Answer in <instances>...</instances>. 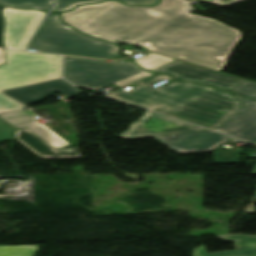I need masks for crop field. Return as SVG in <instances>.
Returning a JSON list of instances; mask_svg holds the SVG:
<instances>
[{
	"mask_svg": "<svg viewBox=\"0 0 256 256\" xmlns=\"http://www.w3.org/2000/svg\"><path fill=\"white\" fill-rule=\"evenodd\" d=\"M184 0H161L153 8L111 1L61 13L63 22L111 43H137L152 51L221 71L241 33L196 16Z\"/></svg>",
	"mask_w": 256,
	"mask_h": 256,
	"instance_id": "1",
	"label": "crop field"
},
{
	"mask_svg": "<svg viewBox=\"0 0 256 256\" xmlns=\"http://www.w3.org/2000/svg\"><path fill=\"white\" fill-rule=\"evenodd\" d=\"M109 96L212 129L219 127L242 105L231 93L186 82L158 89L139 85L127 92L117 91Z\"/></svg>",
	"mask_w": 256,
	"mask_h": 256,
	"instance_id": "2",
	"label": "crop field"
},
{
	"mask_svg": "<svg viewBox=\"0 0 256 256\" xmlns=\"http://www.w3.org/2000/svg\"><path fill=\"white\" fill-rule=\"evenodd\" d=\"M27 48L40 52L111 59L119 48L85 36L61 23L58 14H48Z\"/></svg>",
	"mask_w": 256,
	"mask_h": 256,
	"instance_id": "3",
	"label": "crop field"
},
{
	"mask_svg": "<svg viewBox=\"0 0 256 256\" xmlns=\"http://www.w3.org/2000/svg\"><path fill=\"white\" fill-rule=\"evenodd\" d=\"M5 52L7 63L0 66V91L61 77V56ZM25 108L0 93V112Z\"/></svg>",
	"mask_w": 256,
	"mask_h": 256,
	"instance_id": "4",
	"label": "crop field"
},
{
	"mask_svg": "<svg viewBox=\"0 0 256 256\" xmlns=\"http://www.w3.org/2000/svg\"><path fill=\"white\" fill-rule=\"evenodd\" d=\"M143 72L131 61L121 63L65 57L64 62V77L68 81L95 90Z\"/></svg>",
	"mask_w": 256,
	"mask_h": 256,
	"instance_id": "5",
	"label": "crop field"
},
{
	"mask_svg": "<svg viewBox=\"0 0 256 256\" xmlns=\"http://www.w3.org/2000/svg\"><path fill=\"white\" fill-rule=\"evenodd\" d=\"M199 130H206V128L147 111L119 137L131 140Z\"/></svg>",
	"mask_w": 256,
	"mask_h": 256,
	"instance_id": "6",
	"label": "crop field"
},
{
	"mask_svg": "<svg viewBox=\"0 0 256 256\" xmlns=\"http://www.w3.org/2000/svg\"><path fill=\"white\" fill-rule=\"evenodd\" d=\"M4 47L24 50L28 40L45 13L37 10L6 9Z\"/></svg>",
	"mask_w": 256,
	"mask_h": 256,
	"instance_id": "7",
	"label": "crop field"
},
{
	"mask_svg": "<svg viewBox=\"0 0 256 256\" xmlns=\"http://www.w3.org/2000/svg\"><path fill=\"white\" fill-rule=\"evenodd\" d=\"M152 71L167 73L180 80L202 83L212 87H216L220 90L228 91H231L240 83L245 81L243 79L202 69L180 61H174Z\"/></svg>",
	"mask_w": 256,
	"mask_h": 256,
	"instance_id": "8",
	"label": "crop field"
},
{
	"mask_svg": "<svg viewBox=\"0 0 256 256\" xmlns=\"http://www.w3.org/2000/svg\"><path fill=\"white\" fill-rule=\"evenodd\" d=\"M243 105L217 131L239 141L256 142V102L235 95Z\"/></svg>",
	"mask_w": 256,
	"mask_h": 256,
	"instance_id": "9",
	"label": "crop field"
},
{
	"mask_svg": "<svg viewBox=\"0 0 256 256\" xmlns=\"http://www.w3.org/2000/svg\"><path fill=\"white\" fill-rule=\"evenodd\" d=\"M0 118L17 129H30L55 149L70 145L45 125L38 123L31 110L2 114Z\"/></svg>",
	"mask_w": 256,
	"mask_h": 256,
	"instance_id": "10",
	"label": "crop field"
},
{
	"mask_svg": "<svg viewBox=\"0 0 256 256\" xmlns=\"http://www.w3.org/2000/svg\"><path fill=\"white\" fill-rule=\"evenodd\" d=\"M230 139L211 130L192 132L180 135L169 145L182 148L180 153L213 151Z\"/></svg>",
	"mask_w": 256,
	"mask_h": 256,
	"instance_id": "11",
	"label": "crop field"
},
{
	"mask_svg": "<svg viewBox=\"0 0 256 256\" xmlns=\"http://www.w3.org/2000/svg\"><path fill=\"white\" fill-rule=\"evenodd\" d=\"M217 237L234 241L236 251L207 254L204 247L200 246L194 250L193 256H256V236L237 234L220 235Z\"/></svg>",
	"mask_w": 256,
	"mask_h": 256,
	"instance_id": "12",
	"label": "crop field"
},
{
	"mask_svg": "<svg viewBox=\"0 0 256 256\" xmlns=\"http://www.w3.org/2000/svg\"><path fill=\"white\" fill-rule=\"evenodd\" d=\"M22 144H24L31 151L41 157L46 158H60V157H80L79 153H60L52 148L39 136L35 135L28 129L18 130L16 137Z\"/></svg>",
	"mask_w": 256,
	"mask_h": 256,
	"instance_id": "13",
	"label": "crop field"
},
{
	"mask_svg": "<svg viewBox=\"0 0 256 256\" xmlns=\"http://www.w3.org/2000/svg\"><path fill=\"white\" fill-rule=\"evenodd\" d=\"M7 96L27 105L29 103L40 102L44 100L49 94L33 87H23L14 90L4 91Z\"/></svg>",
	"mask_w": 256,
	"mask_h": 256,
	"instance_id": "14",
	"label": "crop field"
},
{
	"mask_svg": "<svg viewBox=\"0 0 256 256\" xmlns=\"http://www.w3.org/2000/svg\"><path fill=\"white\" fill-rule=\"evenodd\" d=\"M105 0H56L58 6L52 11L72 10L77 4L98 3ZM128 5H154L158 0H119Z\"/></svg>",
	"mask_w": 256,
	"mask_h": 256,
	"instance_id": "15",
	"label": "crop field"
},
{
	"mask_svg": "<svg viewBox=\"0 0 256 256\" xmlns=\"http://www.w3.org/2000/svg\"><path fill=\"white\" fill-rule=\"evenodd\" d=\"M0 5L14 8H39L49 10L54 6L53 0H0Z\"/></svg>",
	"mask_w": 256,
	"mask_h": 256,
	"instance_id": "16",
	"label": "crop field"
},
{
	"mask_svg": "<svg viewBox=\"0 0 256 256\" xmlns=\"http://www.w3.org/2000/svg\"><path fill=\"white\" fill-rule=\"evenodd\" d=\"M34 86L49 94H52L56 91L67 96L74 95L77 93V91L68 82H66L63 79L46 82V83H42Z\"/></svg>",
	"mask_w": 256,
	"mask_h": 256,
	"instance_id": "17",
	"label": "crop field"
},
{
	"mask_svg": "<svg viewBox=\"0 0 256 256\" xmlns=\"http://www.w3.org/2000/svg\"><path fill=\"white\" fill-rule=\"evenodd\" d=\"M172 61L174 60L153 53L146 55L142 58H139L137 60H134V62L138 66L145 68L149 71Z\"/></svg>",
	"mask_w": 256,
	"mask_h": 256,
	"instance_id": "18",
	"label": "crop field"
},
{
	"mask_svg": "<svg viewBox=\"0 0 256 256\" xmlns=\"http://www.w3.org/2000/svg\"><path fill=\"white\" fill-rule=\"evenodd\" d=\"M37 246H0V256H34Z\"/></svg>",
	"mask_w": 256,
	"mask_h": 256,
	"instance_id": "19",
	"label": "crop field"
},
{
	"mask_svg": "<svg viewBox=\"0 0 256 256\" xmlns=\"http://www.w3.org/2000/svg\"><path fill=\"white\" fill-rule=\"evenodd\" d=\"M242 150L213 152L214 161L216 163H232L237 162Z\"/></svg>",
	"mask_w": 256,
	"mask_h": 256,
	"instance_id": "20",
	"label": "crop field"
},
{
	"mask_svg": "<svg viewBox=\"0 0 256 256\" xmlns=\"http://www.w3.org/2000/svg\"><path fill=\"white\" fill-rule=\"evenodd\" d=\"M233 91L243 96H250L256 100V84L254 83L246 81L237 88H235Z\"/></svg>",
	"mask_w": 256,
	"mask_h": 256,
	"instance_id": "21",
	"label": "crop field"
},
{
	"mask_svg": "<svg viewBox=\"0 0 256 256\" xmlns=\"http://www.w3.org/2000/svg\"><path fill=\"white\" fill-rule=\"evenodd\" d=\"M17 129L0 119V141L14 139Z\"/></svg>",
	"mask_w": 256,
	"mask_h": 256,
	"instance_id": "22",
	"label": "crop field"
},
{
	"mask_svg": "<svg viewBox=\"0 0 256 256\" xmlns=\"http://www.w3.org/2000/svg\"><path fill=\"white\" fill-rule=\"evenodd\" d=\"M179 135L180 134H178V135H170V136H162V137H156L155 139H157L158 141L162 142L166 146L174 149L175 151L179 152L181 150L180 148H176V147L167 145L168 143H170L172 140H174Z\"/></svg>",
	"mask_w": 256,
	"mask_h": 256,
	"instance_id": "23",
	"label": "crop field"
},
{
	"mask_svg": "<svg viewBox=\"0 0 256 256\" xmlns=\"http://www.w3.org/2000/svg\"><path fill=\"white\" fill-rule=\"evenodd\" d=\"M154 74H155V73H147V72H146V73H144V74L138 75V76L133 77V78H131V79H128V80H126V81L120 82V83H118L117 85H118V86H126V85H128V84H130V83L136 82V81H138V80L144 79V78L149 77V76L154 75Z\"/></svg>",
	"mask_w": 256,
	"mask_h": 256,
	"instance_id": "24",
	"label": "crop field"
},
{
	"mask_svg": "<svg viewBox=\"0 0 256 256\" xmlns=\"http://www.w3.org/2000/svg\"><path fill=\"white\" fill-rule=\"evenodd\" d=\"M201 1L213 3L215 5L225 7V6L240 2L242 0H201Z\"/></svg>",
	"mask_w": 256,
	"mask_h": 256,
	"instance_id": "25",
	"label": "crop field"
},
{
	"mask_svg": "<svg viewBox=\"0 0 256 256\" xmlns=\"http://www.w3.org/2000/svg\"><path fill=\"white\" fill-rule=\"evenodd\" d=\"M1 8L2 7H0V11H1ZM2 30H3V20H2V17H1V13H0V47H3L2 46V41H1Z\"/></svg>",
	"mask_w": 256,
	"mask_h": 256,
	"instance_id": "26",
	"label": "crop field"
},
{
	"mask_svg": "<svg viewBox=\"0 0 256 256\" xmlns=\"http://www.w3.org/2000/svg\"><path fill=\"white\" fill-rule=\"evenodd\" d=\"M166 77H167V76L160 74V75H159L158 77H156V78L162 80V79H164V78H166ZM151 78H153V77H151ZM148 79H150V78L141 80V81H139V82H137V83H138V84H141L142 82H144V81H146V80H148ZM153 79H155V78H153Z\"/></svg>",
	"mask_w": 256,
	"mask_h": 256,
	"instance_id": "27",
	"label": "crop field"
},
{
	"mask_svg": "<svg viewBox=\"0 0 256 256\" xmlns=\"http://www.w3.org/2000/svg\"><path fill=\"white\" fill-rule=\"evenodd\" d=\"M158 81H160V80H158V79H156V80L151 79V80H148V81H146V82H144V83H142V84L152 85V84H154V83H156V82H158Z\"/></svg>",
	"mask_w": 256,
	"mask_h": 256,
	"instance_id": "28",
	"label": "crop field"
},
{
	"mask_svg": "<svg viewBox=\"0 0 256 256\" xmlns=\"http://www.w3.org/2000/svg\"><path fill=\"white\" fill-rule=\"evenodd\" d=\"M4 62L3 52L0 50V64Z\"/></svg>",
	"mask_w": 256,
	"mask_h": 256,
	"instance_id": "29",
	"label": "crop field"
},
{
	"mask_svg": "<svg viewBox=\"0 0 256 256\" xmlns=\"http://www.w3.org/2000/svg\"><path fill=\"white\" fill-rule=\"evenodd\" d=\"M252 173L256 174V165H255V168H254Z\"/></svg>",
	"mask_w": 256,
	"mask_h": 256,
	"instance_id": "30",
	"label": "crop field"
},
{
	"mask_svg": "<svg viewBox=\"0 0 256 256\" xmlns=\"http://www.w3.org/2000/svg\"><path fill=\"white\" fill-rule=\"evenodd\" d=\"M254 145H256V143Z\"/></svg>",
	"mask_w": 256,
	"mask_h": 256,
	"instance_id": "31",
	"label": "crop field"
}]
</instances>
